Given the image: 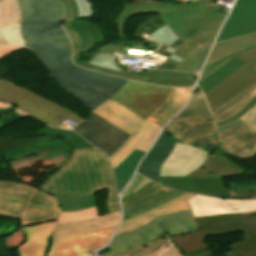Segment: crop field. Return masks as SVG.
Instances as JSON below:
<instances>
[{
	"instance_id": "38",
	"label": "crop field",
	"mask_w": 256,
	"mask_h": 256,
	"mask_svg": "<svg viewBox=\"0 0 256 256\" xmlns=\"http://www.w3.org/2000/svg\"><path fill=\"white\" fill-rule=\"evenodd\" d=\"M39 132L63 135L71 142V144L76 149L77 148H94L87 141H85L83 138H81L79 135H77L76 133L71 132L69 130H61V129L50 128L48 126H45Z\"/></svg>"
},
{
	"instance_id": "32",
	"label": "crop field",
	"mask_w": 256,
	"mask_h": 256,
	"mask_svg": "<svg viewBox=\"0 0 256 256\" xmlns=\"http://www.w3.org/2000/svg\"><path fill=\"white\" fill-rule=\"evenodd\" d=\"M207 119H213L211 116V113L191 116V117H186L181 119L174 118V120L169 125H167L166 129L163 132L177 139L175 137L176 135L196 126L197 124Z\"/></svg>"
},
{
	"instance_id": "11",
	"label": "crop field",
	"mask_w": 256,
	"mask_h": 256,
	"mask_svg": "<svg viewBox=\"0 0 256 256\" xmlns=\"http://www.w3.org/2000/svg\"><path fill=\"white\" fill-rule=\"evenodd\" d=\"M120 216L121 211L98 217L96 207L62 212L56 221L51 244L67 236L118 225Z\"/></svg>"
},
{
	"instance_id": "45",
	"label": "crop field",
	"mask_w": 256,
	"mask_h": 256,
	"mask_svg": "<svg viewBox=\"0 0 256 256\" xmlns=\"http://www.w3.org/2000/svg\"><path fill=\"white\" fill-rule=\"evenodd\" d=\"M189 145L210 152L214 148L219 147L218 135H210L205 138L195 140Z\"/></svg>"
},
{
	"instance_id": "27",
	"label": "crop field",
	"mask_w": 256,
	"mask_h": 256,
	"mask_svg": "<svg viewBox=\"0 0 256 256\" xmlns=\"http://www.w3.org/2000/svg\"><path fill=\"white\" fill-rule=\"evenodd\" d=\"M199 230V227L197 226V224L195 225H191V226H186V227H182V228H173V229H165L164 227L149 234L148 236L125 246L119 247V248H115L112 250H109L108 252H106L105 254H103L102 256H115V255H119L122 254L123 252L136 248L144 243H147L157 237H159L160 235H162L163 233L169 231L170 235H180V234H186L192 231H196Z\"/></svg>"
},
{
	"instance_id": "40",
	"label": "crop field",
	"mask_w": 256,
	"mask_h": 256,
	"mask_svg": "<svg viewBox=\"0 0 256 256\" xmlns=\"http://www.w3.org/2000/svg\"><path fill=\"white\" fill-rule=\"evenodd\" d=\"M191 214H192L191 210H188V211H183V212H178V213H174V214H170V215H164V216L157 217V218L151 220L150 222L146 223L145 225L141 226L139 229H137L133 232L126 233L124 235L114 237L112 239L111 243L122 240V239H125V238L130 237V236H133V235H135L139 232H142V231L150 228L151 226H153L155 223H157L160 220L174 218V217H180V216H185V215H191Z\"/></svg>"
},
{
	"instance_id": "36",
	"label": "crop field",
	"mask_w": 256,
	"mask_h": 256,
	"mask_svg": "<svg viewBox=\"0 0 256 256\" xmlns=\"http://www.w3.org/2000/svg\"><path fill=\"white\" fill-rule=\"evenodd\" d=\"M256 19V2H237L227 22Z\"/></svg>"
},
{
	"instance_id": "16",
	"label": "crop field",
	"mask_w": 256,
	"mask_h": 256,
	"mask_svg": "<svg viewBox=\"0 0 256 256\" xmlns=\"http://www.w3.org/2000/svg\"><path fill=\"white\" fill-rule=\"evenodd\" d=\"M223 153L248 158L256 155V132L244 123L219 134Z\"/></svg>"
},
{
	"instance_id": "26",
	"label": "crop field",
	"mask_w": 256,
	"mask_h": 256,
	"mask_svg": "<svg viewBox=\"0 0 256 256\" xmlns=\"http://www.w3.org/2000/svg\"><path fill=\"white\" fill-rule=\"evenodd\" d=\"M256 43V34L215 44L206 63L231 54L237 50Z\"/></svg>"
},
{
	"instance_id": "49",
	"label": "crop field",
	"mask_w": 256,
	"mask_h": 256,
	"mask_svg": "<svg viewBox=\"0 0 256 256\" xmlns=\"http://www.w3.org/2000/svg\"><path fill=\"white\" fill-rule=\"evenodd\" d=\"M232 198H256V191L255 192H235L230 191Z\"/></svg>"
},
{
	"instance_id": "23",
	"label": "crop field",
	"mask_w": 256,
	"mask_h": 256,
	"mask_svg": "<svg viewBox=\"0 0 256 256\" xmlns=\"http://www.w3.org/2000/svg\"><path fill=\"white\" fill-rule=\"evenodd\" d=\"M67 17L63 22V27L69 34L74 48L73 63L79 62L81 54H83L84 39L75 25L76 18L78 16L77 4L74 0H63Z\"/></svg>"
},
{
	"instance_id": "30",
	"label": "crop field",
	"mask_w": 256,
	"mask_h": 256,
	"mask_svg": "<svg viewBox=\"0 0 256 256\" xmlns=\"http://www.w3.org/2000/svg\"><path fill=\"white\" fill-rule=\"evenodd\" d=\"M196 221L194 219V216L191 215V216H185V217H180V218H174V219H169V220H163V221H160L158 222L157 224H155L153 227H151L150 229L140 233V234H137L133 237H130V238H127L125 240H122V241H119V242H116V243H113L111 245L108 246V249H111V248H115V247H118V246H122V245H125V244H128V243H131L161 227H165V228H172V227H182V226H186V225H191V224H195Z\"/></svg>"
},
{
	"instance_id": "14",
	"label": "crop field",
	"mask_w": 256,
	"mask_h": 256,
	"mask_svg": "<svg viewBox=\"0 0 256 256\" xmlns=\"http://www.w3.org/2000/svg\"><path fill=\"white\" fill-rule=\"evenodd\" d=\"M205 151L189 147L180 143L175 144L173 152L160 168L162 176H185L203 165L206 157Z\"/></svg>"
},
{
	"instance_id": "42",
	"label": "crop field",
	"mask_w": 256,
	"mask_h": 256,
	"mask_svg": "<svg viewBox=\"0 0 256 256\" xmlns=\"http://www.w3.org/2000/svg\"><path fill=\"white\" fill-rule=\"evenodd\" d=\"M254 47H256V44L251 45V46H249L247 48H244V49H242V50H240L238 52H235V53H233L231 55H228L226 57H223L221 59H218L216 61H213L211 63H208V64L204 65L203 70H202L201 75H200V78H199V81L201 79H203L205 76H207L208 74H210L211 72H213L215 69H217L218 67L223 65L225 62L230 60L232 57L237 56V55H239V54H241V53H243V52H245L247 50H250V49H252Z\"/></svg>"
},
{
	"instance_id": "8",
	"label": "crop field",
	"mask_w": 256,
	"mask_h": 256,
	"mask_svg": "<svg viewBox=\"0 0 256 256\" xmlns=\"http://www.w3.org/2000/svg\"><path fill=\"white\" fill-rule=\"evenodd\" d=\"M169 90V87L128 80L125 86L110 99L146 120L161 106Z\"/></svg>"
},
{
	"instance_id": "33",
	"label": "crop field",
	"mask_w": 256,
	"mask_h": 256,
	"mask_svg": "<svg viewBox=\"0 0 256 256\" xmlns=\"http://www.w3.org/2000/svg\"><path fill=\"white\" fill-rule=\"evenodd\" d=\"M62 211H76L96 206L94 196H54Z\"/></svg>"
},
{
	"instance_id": "51",
	"label": "crop field",
	"mask_w": 256,
	"mask_h": 256,
	"mask_svg": "<svg viewBox=\"0 0 256 256\" xmlns=\"http://www.w3.org/2000/svg\"><path fill=\"white\" fill-rule=\"evenodd\" d=\"M240 122H242V121L239 119V120H237V121H235V122H233V123H231V124H228V125H226V126H224V127L219 128L218 131L220 132V131H222V130H224V129H227V128H229V127H232V126H234V125H236V124H238V123H240Z\"/></svg>"
},
{
	"instance_id": "7",
	"label": "crop field",
	"mask_w": 256,
	"mask_h": 256,
	"mask_svg": "<svg viewBox=\"0 0 256 256\" xmlns=\"http://www.w3.org/2000/svg\"><path fill=\"white\" fill-rule=\"evenodd\" d=\"M92 112L111 122L131 136L109 159L115 169L144 139L154 126L111 100L105 101Z\"/></svg>"
},
{
	"instance_id": "18",
	"label": "crop field",
	"mask_w": 256,
	"mask_h": 256,
	"mask_svg": "<svg viewBox=\"0 0 256 256\" xmlns=\"http://www.w3.org/2000/svg\"><path fill=\"white\" fill-rule=\"evenodd\" d=\"M214 4H215L214 0H199L193 4H183V5H174V4H169V3L160 2V1L138 3L137 6H135V4H125L118 18L115 19L114 21L116 22V26L119 32V37H125L126 21L129 18L136 16L137 14H148V13H154V12L162 13V12H167V11L192 7V6L214 5Z\"/></svg>"
},
{
	"instance_id": "13",
	"label": "crop field",
	"mask_w": 256,
	"mask_h": 256,
	"mask_svg": "<svg viewBox=\"0 0 256 256\" xmlns=\"http://www.w3.org/2000/svg\"><path fill=\"white\" fill-rule=\"evenodd\" d=\"M182 194L162 187L152 181L137 192L121 200L123 204V220Z\"/></svg>"
},
{
	"instance_id": "43",
	"label": "crop field",
	"mask_w": 256,
	"mask_h": 256,
	"mask_svg": "<svg viewBox=\"0 0 256 256\" xmlns=\"http://www.w3.org/2000/svg\"><path fill=\"white\" fill-rule=\"evenodd\" d=\"M80 32L82 33L84 39H85V48H84V54L87 53V51L92 48L94 44L97 43V38L93 30L91 29L89 23L87 22H76ZM83 54V55H84Z\"/></svg>"
},
{
	"instance_id": "54",
	"label": "crop field",
	"mask_w": 256,
	"mask_h": 256,
	"mask_svg": "<svg viewBox=\"0 0 256 256\" xmlns=\"http://www.w3.org/2000/svg\"><path fill=\"white\" fill-rule=\"evenodd\" d=\"M7 107H8V106H6V105L0 103V108H7Z\"/></svg>"
},
{
	"instance_id": "4",
	"label": "crop field",
	"mask_w": 256,
	"mask_h": 256,
	"mask_svg": "<svg viewBox=\"0 0 256 256\" xmlns=\"http://www.w3.org/2000/svg\"><path fill=\"white\" fill-rule=\"evenodd\" d=\"M60 212L53 196L23 184L0 181V213L21 219V227L54 220Z\"/></svg>"
},
{
	"instance_id": "22",
	"label": "crop field",
	"mask_w": 256,
	"mask_h": 256,
	"mask_svg": "<svg viewBox=\"0 0 256 256\" xmlns=\"http://www.w3.org/2000/svg\"><path fill=\"white\" fill-rule=\"evenodd\" d=\"M193 87L172 88L162 106L147 121L163 129L165 124L183 107Z\"/></svg>"
},
{
	"instance_id": "31",
	"label": "crop field",
	"mask_w": 256,
	"mask_h": 256,
	"mask_svg": "<svg viewBox=\"0 0 256 256\" xmlns=\"http://www.w3.org/2000/svg\"><path fill=\"white\" fill-rule=\"evenodd\" d=\"M252 33H256V20L226 23L217 42Z\"/></svg>"
},
{
	"instance_id": "9",
	"label": "crop field",
	"mask_w": 256,
	"mask_h": 256,
	"mask_svg": "<svg viewBox=\"0 0 256 256\" xmlns=\"http://www.w3.org/2000/svg\"><path fill=\"white\" fill-rule=\"evenodd\" d=\"M218 9V5L192 7L159 15L169 28L184 41L224 20L226 14H220Z\"/></svg>"
},
{
	"instance_id": "15",
	"label": "crop field",
	"mask_w": 256,
	"mask_h": 256,
	"mask_svg": "<svg viewBox=\"0 0 256 256\" xmlns=\"http://www.w3.org/2000/svg\"><path fill=\"white\" fill-rule=\"evenodd\" d=\"M188 201L195 217L243 213L256 210V200H224L194 195Z\"/></svg>"
},
{
	"instance_id": "2",
	"label": "crop field",
	"mask_w": 256,
	"mask_h": 256,
	"mask_svg": "<svg viewBox=\"0 0 256 256\" xmlns=\"http://www.w3.org/2000/svg\"><path fill=\"white\" fill-rule=\"evenodd\" d=\"M104 188H108V213L120 210L108 159L96 149H82L75 151L68 163L38 190L51 195H95Z\"/></svg>"
},
{
	"instance_id": "29",
	"label": "crop field",
	"mask_w": 256,
	"mask_h": 256,
	"mask_svg": "<svg viewBox=\"0 0 256 256\" xmlns=\"http://www.w3.org/2000/svg\"><path fill=\"white\" fill-rule=\"evenodd\" d=\"M256 94V85L241 93L212 113L215 121L226 119L235 114L245 103Z\"/></svg>"
},
{
	"instance_id": "46",
	"label": "crop field",
	"mask_w": 256,
	"mask_h": 256,
	"mask_svg": "<svg viewBox=\"0 0 256 256\" xmlns=\"http://www.w3.org/2000/svg\"><path fill=\"white\" fill-rule=\"evenodd\" d=\"M256 104V95L251 99L249 100L246 105L240 109L234 116L226 119V120H223V121H220V122H217V127H221L223 125H226L228 123H231L237 119H239L243 114H245L249 109H251L254 105Z\"/></svg>"
},
{
	"instance_id": "17",
	"label": "crop field",
	"mask_w": 256,
	"mask_h": 256,
	"mask_svg": "<svg viewBox=\"0 0 256 256\" xmlns=\"http://www.w3.org/2000/svg\"><path fill=\"white\" fill-rule=\"evenodd\" d=\"M162 184L176 190L231 198L223 181L196 177H163Z\"/></svg>"
},
{
	"instance_id": "6",
	"label": "crop field",
	"mask_w": 256,
	"mask_h": 256,
	"mask_svg": "<svg viewBox=\"0 0 256 256\" xmlns=\"http://www.w3.org/2000/svg\"><path fill=\"white\" fill-rule=\"evenodd\" d=\"M0 101L6 104H16L18 109L30 114L37 120L57 127L62 115L80 122V116L63 108L33 92H30L12 82L0 79ZM62 121V120H61Z\"/></svg>"
},
{
	"instance_id": "55",
	"label": "crop field",
	"mask_w": 256,
	"mask_h": 256,
	"mask_svg": "<svg viewBox=\"0 0 256 256\" xmlns=\"http://www.w3.org/2000/svg\"><path fill=\"white\" fill-rule=\"evenodd\" d=\"M238 1H256V0H238Z\"/></svg>"
},
{
	"instance_id": "50",
	"label": "crop field",
	"mask_w": 256,
	"mask_h": 256,
	"mask_svg": "<svg viewBox=\"0 0 256 256\" xmlns=\"http://www.w3.org/2000/svg\"><path fill=\"white\" fill-rule=\"evenodd\" d=\"M19 48H22V47H19V46H12V45H9V46H0V58H2L3 56L1 54L3 53H12L13 51L19 49Z\"/></svg>"
},
{
	"instance_id": "48",
	"label": "crop field",
	"mask_w": 256,
	"mask_h": 256,
	"mask_svg": "<svg viewBox=\"0 0 256 256\" xmlns=\"http://www.w3.org/2000/svg\"><path fill=\"white\" fill-rule=\"evenodd\" d=\"M240 119L244 121L254 132L256 131V105Z\"/></svg>"
},
{
	"instance_id": "19",
	"label": "crop field",
	"mask_w": 256,
	"mask_h": 256,
	"mask_svg": "<svg viewBox=\"0 0 256 256\" xmlns=\"http://www.w3.org/2000/svg\"><path fill=\"white\" fill-rule=\"evenodd\" d=\"M192 196L193 194L185 193L178 198L163 203L126 221H122L114 236L133 231L157 216L190 209L187 200Z\"/></svg>"
},
{
	"instance_id": "21",
	"label": "crop field",
	"mask_w": 256,
	"mask_h": 256,
	"mask_svg": "<svg viewBox=\"0 0 256 256\" xmlns=\"http://www.w3.org/2000/svg\"><path fill=\"white\" fill-rule=\"evenodd\" d=\"M175 140L162 133L155 145L140 164L137 172L159 182L158 171L164 160L172 152Z\"/></svg>"
},
{
	"instance_id": "53",
	"label": "crop field",
	"mask_w": 256,
	"mask_h": 256,
	"mask_svg": "<svg viewBox=\"0 0 256 256\" xmlns=\"http://www.w3.org/2000/svg\"><path fill=\"white\" fill-rule=\"evenodd\" d=\"M180 2H192V1H195V0H178Z\"/></svg>"
},
{
	"instance_id": "12",
	"label": "crop field",
	"mask_w": 256,
	"mask_h": 256,
	"mask_svg": "<svg viewBox=\"0 0 256 256\" xmlns=\"http://www.w3.org/2000/svg\"><path fill=\"white\" fill-rule=\"evenodd\" d=\"M74 130L108 156L130 136L95 113L78 124Z\"/></svg>"
},
{
	"instance_id": "41",
	"label": "crop field",
	"mask_w": 256,
	"mask_h": 256,
	"mask_svg": "<svg viewBox=\"0 0 256 256\" xmlns=\"http://www.w3.org/2000/svg\"><path fill=\"white\" fill-rule=\"evenodd\" d=\"M19 24L0 27V35L4 38L7 44H18L25 46L19 31Z\"/></svg>"
},
{
	"instance_id": "39",
	"label": "crop field",
	"mask_w": 256,
	"mask_h": 256,
	"mask_svg": "<svg viewBox=\"0 0 256 256\" xmlns=\"http://www.w3.org/2000/svg\"><path fill=\"white\" fill-rule=\"evenodd\" d=\"M169 238L168 232L157 238L156 240L144 244L136 249L123 253L120 256H143L151 251H154L157 247L163 244Z\"/></svg>"
},
{
	"instance_id": "24",
	"label": "crop field",
	"mask_w": 256,
	"mask_h": 256,
	"mask_svg": "<svg viewBox=\"0 0 256 256\" xmlns=\"http://www.w3.org/2000/svg\"><path fill=\"white\" fill-rule=\"evenodd\" d=\"M171 240L186 256H213L204 244L201 231L186 235L170 236Z\"/></svg>"
},
{
	"instance_id": "52",
	"label": "crop field",
	"mask_w": 256,
	"mask_h": 256,
	"mask_svg": "<svg viewBox=\"0 0 256 256\" xmlns=\"http://www.w3.org/2000/svg\"><path fill=\"white\" fill-rule=\"evenodd\" d=\"M4 44L6 43L3 41L2 37L0 36V45H4Z\"/></svg>"
},
{
	"instance_id": "28",
	"label": "crop field",
	"mask_w": 256,
	"mask_h": 256,
	"mask_svg": "<svg viewBox=\"0 0 256 256\" xmlns=\"http://www.w3.org/2000/svg\"><path fill=\"white\" fill-rule=\"evenodd\" d=\"M145 152L135 149L115 170V177L118 186V192L123 189L132 176L137 164L144 156Z\"/></svg>"
},
{
	"instance_id": "1",
	"label": "crop field",
	"mask_w": 256,
	"mask_h": 256,
	"mask_svg": "<svg viewBox=\"0 0 256 256\" xmlns=\"http://www.w3.org/2000/svg\"><path fill=\"white\" fill-rule=\"evenodd\" d=\"M21 35L54 79L90 112L125 84L120 79L78 68L71 63V42L61 25L65 7L60 0H18ZM63 88V89H64Z\"/></svg>"
},
{
	"instance_id": "34",
	"label": "crop field",
	"mask_w": 256,
	"mask_h": 256,
	"mask_svg": "<svg viewBox=\"0 0 256 256\" xmlns=\"http://www.w3.org/2000/svg\"><path fill=\"white\" fill-rule=\"evenodd\" d=\"M210 134H217L213 120L205 121L196 127L178 135L177 138L184 142L190 143L197 138H201Z\"/></svg>"
},
{
	"instance_id": "20",
	"label": "crop field",
	"mask_w": 256,
	"mask_h": 256,
	"mask_svg": "<svg viewBox=\"0 0 256 256\" xmlns=\"http://www.w3.org/2000/svg\"><path fill=\"white\" fill-rule=\"evenodd\" d=\"M215 153H207L206 162L193 173L187 176H197L210 179L222 180V178L244 175L246 171L233 164L232 161L223 156L219 148L213 150Z\"/></svg>"
},
{
	"instance_id": "5",
	"label": "crop field",
	"mask_w": 256,
	"mask_h": 256,
	"mask_svg": "<svg viewBox=\"0 0 256 256\" xmlns=\"http://www.w3.org/2000/svg\"><path fill=\"white\" fill-rule=\"evenodd\" d=\"M205 235H229L242 232V240L228 246L227 256L256 255V212L195 218Z\"/></svg>"
},
{
	"instance_id": "35",
	"label": "crop field",
	"mask_w": 256,
	"mask_h": 256,
	"mask_svg": "<svg viewBox=\"0 0 256 256\" xmlns=\"http://www.w3.org/2000/svg\"><path fill=\"white\" fill-rule=\"evenodd\" d=\"M19 23L17 0H0V26Z\"/></svg>"
},
{
	"instance_id": "3",
	"label": "crop field",
	"mask_w": 256,
	"mask_h": 256,
	"mask_svg": "<svg viewBox=\"0 0 256 256\" xmlns=\"http://www.w3.org/2000/svg\"><path fill=\"white\" fill-rule=\"evenodd\" d=\"M55 221L22 227L26 240L17 247L18 256H92L86 251L103 247L116 228L64 238L49 247Z\"/></svg>"
},
{
	"instance_id": "10",
	"label": "crop field",
	"mask_w": 256,
	"mask_h": 256,
	"mask_svg": "<svg viewBox=\"0 0 256 256\" xmlns=\"http://www.w3.org/2000/svg\"><path fill=\"white\" fill-rule=\"evenodd\" d=\"M237 57L247 64L205 94L211 111L256 84V48Z\"/></svg>"
},
{
	"instance_id": "47",
	"label": "crop field",
	"mask_w": 256,
	"mask_h": 256,
	"mask_svg": "<svg viewBox=\"0 0 256 256\" xmlns=\"http://www.w3.org/2000/svg\"><path fill=\"white\" fill-rule=\"evenodd\" d=\"M160 131L161 129L154 126L137 149L147 152V150L153 144Z\"/></svg>"
},
{
	"instance_id": "37",
	"label": "crop field",
	"mask_w": 256,
	"mask_h": 256,
	"mask_svg": "<svg viewBox=\"0 0 256 256\" xmlns=\"http://www.w3.org/2000/svg\"><path fill=\"white\" fill-rule=\"evenodd\" d=\"M208 112L210 111L202 94V91H200L193 94L190 103L176 117L180 118Z\"/></svg>"
},
{
	"instance_id": "44",
	"label": "crop field",
	"mask_w": 256,
	"mask_h": 256,
	"mask_svg": "<svg viewBox=\"0 0 256 256\" xmlns=\"http://www.w3.org/2000/svg\"><path fill=\"white\" fill-rule=\"evenodd\" d=\"M145 256H184L181 250L177 249L174 243L168 239L162 246Z\"/></svg>"
},
{
	"instance_id": "25",
	"label": "crop field",
	"mask_w": 256,
	"mask_h": 256,
	"mask_svg": "<svg viewBox=\"0 0 256 256\" xmlns=\"http://www.w3.org/2000/svg\"><path fill=\"white\" fill-rule=\"evenodd\" d=\"M244 64L246 63L234 57L223 66L215 70L213 73L205 77L198 84L205 94Z\"/></svg>"
}]
</instances>
